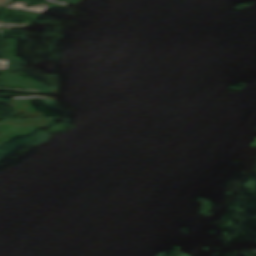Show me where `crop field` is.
Wrapping results in <instances>:
<instances>
[{
	"label": "crop field",
	"mask_w": 256,
	"mask_h": 256,
	"mask_svg": "<svg viewBox=\"0 0 256 256\" xmlns=\"http://www.w3.org/2000/svg\"><path fill=\"white\" fill-rule=\"evenodd\" d=\"M6 2V0H0V6L3 5Z\"/></svg>",
	"instance_id": "crop-field-1"
}]
</instances>
